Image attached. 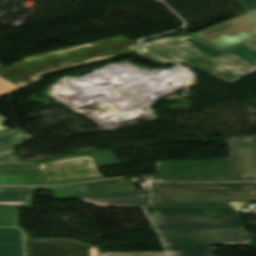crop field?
<instances>
[{"mask_svg":"<svg viewBox=\"0 0 256 256\" xmlns=\"http://www.w3.org/2000/svg\"><path fill=\"white\" fill-rule=\"evenodd\" d=\"M166 251H211L210 245H248L231 207L144 208Z\"/></svg>","mask_w":256,"mask_h":256,"instance_id":"1","label":"crop field"},{"mask_svg":"<svg viewBox=\"0 0 256 256\" xmlns=\"http://www.w3.org/2000/svg\"><path fill=\"white\" fill-rule=\"evenodd\" d=\"M141 52L161 62H186L229 83L256 70V49L245 44L220 51L182 36L143 43Z\"/></svg>","mask_w":256,"mask_h":256,"instance_id":"2","label":"crop field"},{"mask_svg":"<svg viewBox=\"0 0 256 256\" xmlns=\"http://www.w3.org/2000/svg\"><path fill=\"white\" fill-rule=\"evenodd\" d=\"M136 45L123 35L46 52L0 70V98L41 80L40 75L133 53Z\"/></svg>","mask_w":256,"mask_h":256,"instance_id":"3","label":"crop field"},{"mask_svg":"<svg viewBox=\"0 0 256 256\" xmlns=\"http://www.w3.org/2000/svg\"><path fill=\"white\" fill-rule=\"evenodd\" d=\"M256 201V183L154 184L151 207L230 206Z\"/></svg>","mask_w":256,"mask_h":256,"instance_id":"4","label":"crop field"},{"mask_svg":"<svg viewBox=\"0 0 256 256\" xmlns=\"http://www.w3.org/2000/svg\"><path fill=\"white\" fill-rule=\"evenodd\" d=\"M118 164L121 162L110 150L63 156L37 163L48 185L102 179L105 177L99 174L97 167Z\"/></svg>","mask_w":256,"mask_h":256,"instance_id":"5","label":"crop field"},{"mask_svg":"<svg viewBox=\"0 0 256 256\" xmlns=\"http://www.w3.org/2000/svg\"><path fill=\"white\" fill-rule=\"evenodd\" d=\"M155 165V181H232L229 158L212 161H155Z\"/></svg>","mask_w":256,"mask_h":256,"instance_id":"6","label":"crop field"},{"mask_svg":"<svg viewBox=\"0 0 256 256\" xmlns=\"http://www.w3.org/2000/svg\"><path fill=\"white\" fill-rule=\"evenodd\" d=\"M248 13L191 34L221 50L256 38V0H235Z\"/></svg>","mask_w":256,"mask_h":256,"instance_id":"7","label":"crop field"},{"mask_svg":"<svg viewBox=\"0 0 256 256\" xmlns=\"http://www.w3.org/2000/svg\"><path fill=\"white\" fill-rule=\"evenodd\" d=\"M233 181H256V137L228 139Z\"/></svg>","mask_w":256,"mask_h":256,"instance_id":"8","label":"crop field"},{"mask_svg":"<svg viewBox=\"0 0 256 256\" xmlns=\"http://www.w3.org/2000/svg\"><path fill=\"white\" fill-rule=\"evenodd\" d=\"M25 256H98V249L70 240H25Z\"/></svg>","mask_w":256,"mask_h":256,"instance_id":"9","label":"crop field"},{"mask_svg":"<svg viewBox=\"0 0 256 256\" xmlns=\"http://www.w3.org/2000/svg\"><path fill=\"white\" fill-rule=\"evenodd\" d=\"M31 137L17 128L0 134V172H39L35 162H19L14 149Z\"/></svg>","mask_w":256,"mask_h":256,"instance_id":"10","label":"crop field"},{"mask_svg":"<svg viewBox=\"0 0 256 256\" xmlns=\"http://www.w3.org/2000/svg\"><path fill=\"white\" fill-rule=\"evenodd\" d=\"M141 183V182H136ZM127 184L124 178L96 181L82 184L72 185L74 191L76 192L78 198L90 197L104 194H112L126 191H134L136 188L133 184Z\"/></svg>","mask_w":256,"mask_h":256,"instance_id":"11","label":"crop field"},{"mask_svg":"<svg viewBox=\"0 0 256 256\" xmlns=\"http://www.w3.org/2000/svg\"><path fill=\"white\" fill-rule=\"evenodd\" d=\"M150 190L110 195L96 198L81 199L80 201L94 206H131L140 207L149 204Z\"/></svg>","mask_w":256,"mask_h":256,"instance_id":"12","label":"crop field"},{"mask_svg":"<svg viewBox=\"0 0 256 256\" xmlns=\"http://www.w3.org/2000/svg\"><path fill=\"white\" fill-rule=\"evenodd\" d=\"M32 195L31 187L0 188V207H27Z\"/></svg>","mask_w":256,"mask_h":256,"instance_id":"13","label":"crop field"},{"mask_svg":"<svg viewBox=\"0 0 256 256\" xmlns=\"http://www.w3.org/2000/svg\"><path fill=\"white\" fill-rule=\"evenodd\" d=\"M0 256H23L18 229H0Z\"/></svg>","mask_w":256,"mask_h":256,"instance_id":"14","label":"crop field"},{"mask_svg":"<svg viewBox=\"0 0 256 256\" xmlns=\"http://www.w3.org/2000/svg\"><path fill=\"white\" fill-rule=\"evenodd\" d=\"M39 173L0 174V185H44Z\"/></svg>","mask_w":256,"mask_h":256,"instance_id":"15","label":"crop field"},{"mask_svg":"<svg viewBox=\"0 0 256 256\" xmlns=\"http://www.w3.org/2000/svg\"><path fill=\"white\" fill-rule=\"evenodd\" d=\"M99 256H214L212 252L99 253Z\"/></svg>","mask_w":256,"mask_h":256,"instance_id":"16","label":"crop field"},{"mask_svg":"<svg viewBox=\"0 0 256 256\" xmlns=\"http://www.w3.org/2000/svg\"><path fill=\"white\" fill-rule=\"evenodd\" d=\"M0 226H17V208H0Z\"/></svg>","mask_w":256,"mask_h":256,"instance_id":"17","label":"crop field"},{"mask_svg":"<svg viewBox=\"0 0 256 256\" xmlns=\"http://www.w3.org/2000/svg\"><path fill=\"white\" fill-rule=\"evenodd\" d=\"M56 200L72 199L75 198L69 186L51 188Z\"/></svg>","mask_w":256,"mask_h":256,"instance_id":"18","label":"crop field"},{"mask_svg":"<svg viewBox=\"0 0 256 256\" xmlns=\"http://www.w3.org/2000/svg\"><path fill=\"white\" fill-rule=\"evenodd\" d=\"M9 122L7 119L3 118L2 116H0V133L3 131L8 130L6 127L2 126L1 124Z\"/></svg>","mask_w":256,"mask_h":256,"instance_id":"19","label":"crop field"},{"mask_svg":"<svg viewBox=\"0 0 256 256\" xmlns=\"http://www.w3.org/2000/svg\"><path fill=\"white\" fill-rule=\"evenodd\" d=\"M245 44L250 45V46L256 48V40L250 41V42L245 43Z\"/></svg>","mask_w":256,"mask_h":256,"instance_id":"20","label":"crop field"},{"mask_svg":"<svg viewBox=\"0 0 256 256\" xmlns=\"http://www.w3.org/2000/svg\"><path fill=\"white\" fill-rule=\"evenodd\" d=\"M0 69H1V67H0Z\"/></svg>","mask_w":256,"mask_h":256,"instance_id":"21","label":"crop field"}]
</instances>
